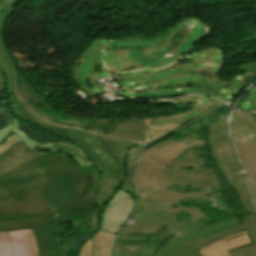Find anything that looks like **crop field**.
Returning a JSON list of instances; mask_svg holds the SVG:
<instances>
[{"instance_id":"8a807250","label":"crop field","mask_w":256,"mask_h":256,"mask_svg":"<svg viewBox=\"0 0 256 256\" xmlns=\"http://www.w3.org/2000/svg\"><path fill=\"white\" fill-rule=\"evenodd\" d=\"M18 1L19 0L0 1V68L7 81V105L14 116L81 146L92 163L101 171L99 190L95 204L103 208L114 191L120 187L124 179L127 150L134 145L140 144L103 137L93 133L143 143L146 124L141 121L130 123V119L102 118L96 119L97 126L83 129L88 126L89 123L83 125L76 121H70L69 125H73V127L93 132L89 133L51 124L37 117L28 106L34 111L33 105L36 103H44L47 108H50L51 105L45 101L27 81L21 86L17 85V74L20 73H18L15 60L3 39L6 19L10 17ZM15 98H20L28 106L18 99L14 100ZM9 100L14 101L9 102Z\"/></svg>"},{"instance_id":"ac0d7876","label":"crop field","mask_w":256,"mask_h":256,"mask_svg":"<svg viewBox=\"0 0 256 256\" xmlns=\"http://www.w3.org/2000/svg\"><path fill=\"white\" fill-rule=\"evenodd\" d=\"M129 221L134 223H127L116 238L112 256H202L191 242L240 223L235 216L207 227L199 219L189 222L179 215L140 207Z\"/></svg>"},{"instance_id":"34b2d1b8","label":"crop field","mask_w":256,"mask_h":256,"mask_svg":"<svg viewBox=\"0 0 256 256\" xmlns=\"http://www.w3.org/2000/svg\"><path fill=\"white\" fill-rule=\"evenodd\" d=\"M193 152L186 151L167 165L159 176V189L137 187L136 206L174 214L175 212L179 213V210L185 211L192 217L185 218L189 221L196 218L205 219V215L198 207L187 208L180 206L185 203L186 197H191L188 199L191 200L197 199L199 196L202 197L205 194L221 196L218 193L213 194V192L209 191L211 186L214 189L220 188V186L215 175H212V169L205 171L203 168H196L197 165H201L205 160L195 157L196 155L194 156Z\"/></svg>"},{"instance_id":"412701ff","label":"crop field","mask_w":256,"mask_h":256,"mask_svg":"<svg viewBox=\"0 0 256 256\" xmlns=\"http://www.w3.org/2000/svg\"><path fill=\"white\" fill-rule=\"evenodd\" d=\"M51 179L36 171L0 181V220L55 214Z\"/></svg>"},{"instance_id":"f4fd0767","label":"crop field","mask_w":256,"mask_h":256,"mask_svg":"<svg viewBox=\"0 0 256 256\" xmlns=\"http://www.w3.org/2000/svg\"><path fill=\"white\" fill-rule=\"evenodd\" d=\"M50 176L54 193L49 202L57 215L92 210L100 172L74 177L71 170H68Z\"/></svg>"},{"instance_id":"dd49c442","label":"crop field","mask_w":256,"mask_h":256,"mask_svg":"<svg viewBox=\"0 0 256 256\" xmlns=\"http://www.w3.org/2000/svg\"><path fill=\"white\" fill-rule=\"evenodd\" d=\"M202 141L190 139L167 140L145 150L136 171L137 186L158 188L157 178L166 165L184 151L201 146Z\"/></svg>"},{"instance_id":"e52e79f7","label":"crop field","mask_w":256,"mask_h":256,"mask_svg":"<svg viewBox=\"0 0 256 256\" xmlns=\"http://www.w3.org/2000/svg\"><path fill=\"white\" fill-rule=\"evenodd\" d=\"M90 213L63 215L48 218L0 222V232L31 229L38 247V256H53L55 237L49 223L72 221L74 234L89 233L88 215Z\"/></svg>"},{"instance_id":"d8731c3e","label":"crop field","mask_w":256,"mask_h":256,"mask_svg":"<svg viewBox=\"0 0 256 256\" xmlns=\"http://www.w3.org/2000/svg\"><path fill=\"white\" fill-rule=\"evenodd\" d=\"M231 132L256 204V117L238 108L232 116Z\"/></svg>"},{"instance_id":"5a996713","label":"crop field","mask_w":256,"mask_h":256,"mask_svg":"<svg viewBox=\"0 0 256 256\" xmlns=\"http://www.w3.org/2000/svg\"><path fill=\"white\" fill-rule=\"evenodd\" d=\"M55 146L30 149L23 142L15 144L0 156V174L3 176L14 169L38 159L41 156L64 151L79 167L91 165L82 149L69 142H56Z\"/></svg>"},{"instance_id":"3316defc","label":"crop field","mask_w":256,"mask_h":256,"mask_svg":"<svg viewBox=\"0 0 256 256\" xmlns=\"http://www.w3.org/2000/svg\"><path fill=\"white\" fill-rule=\"evenodd\" d=\"M210 141L219 167L229 179V183L238 189L246 211H254L227 132L210 137Z\"/></svg>"},{"instance_id":"28ad6ade","label":"crop field","mask_w":256,"mask_h":256,"mask_svg":"<svg viewBox=\"0 0 256 256\" xmlns=\"http://www.w3.org/2000/svg\"><path fill=\"white\" fill-rule=\"evenodd\" d=\"M68 169L72 170L74 176L98 172L94 165L78 168L77 165L64 152H61L42 157L32 163L14 170L12 173L5 177L0 175V180L15 177L17 175L25 174L35 170H37L41 176H44Z\"/></svg>"},{"instance_id":"d1516ede","label":"crop field","mask_w":256,"mask_h":256,"mask_svg":"<svg viewBox=\"0 0 256 256\" xmlns=\"http://www.w3.org/2000/svg\"><path fill=\"white\" fill-rule=\"evenodd\" d=\"M133 199L134 196L125 191L116 190L104 207L105 211L100 225L101 230L116 234L132 209Z\"/></svg>"},{"instance_id":"22f410ed","label":"crop field","mask_w":256,"mask_h":256,"mask_svg":"<svg viewBox=\"0 0 256 256\" xmlns=\"http://www.w3.org/2000/svg\"><path fill=\"white\" fill-rule=\"evenodd\" d=\"M240 221L242 223L227 227L225 229H222L221 231H217L203 239L192 243V245L197 250L215 240L221 239L226 235H230L246 229L253 244L238 247L236 249L228 251V253L231 256H256V216H253L249 219H242Z\"/></svg>"},{"instance_id":"cbeb9de0","label":"crop field","mask_w":256,"mask_h":256,"mask_svg":"<svg viewBox=\"0 0 256 256\" xmlns=\"http://www.w3.org/2000/svg\"><path fill=\"white\" fill-rule=\"evenodd\" d=\"M14 121V127L12 129L22 141L30 148L51 146V142L64 141V139L27 122H24L17 118H12Z\"/></svg>"},{"instance_id":"5142ce71","label":"crop field","mask_w":256,"mask_h":256,"mask_svg":"<svg viewBox=\"0 0 256 256\" xmlns=\"http://www.w3.org/2000/svg\"><path fill=\"white\" fill-rule=\"evenodd\" d=\"M251 243L246 231L226 236L200 250L203 256H230L227 251L235 247Z\"/></svg>"},{"instance_id":"d9b57169","label":"crop field","mask_w":256,"mask_h":256,"mask_svg":"<svg viewBox=\"0 0 256 256\" xmlns=\"http://www.w3.org/2000/svg\"><path fill=\"white\" fill-rule=\"evenodd\" d=\"M12 242L14 253L0 256H37V247L30 230L7 232Z\"/></svg>"},{"instance_id":"733c2abd","label":"crop field","mask_w":256,"mask_h":256,"mask_svg":"<svg viewBox=\"0 0 256 256\" xmlns=\"http://www.w3.org/2000/svg\"><path fill=\"white\" fill-rule=\"evenodd\" d=\"M141 146H135L131 148L127 153V173L125 176V179L121 185V189L125 190L126 192L134 195L135 192V186L133 182V176H134V168L140 153Z\"/></svg>"},{"instance_id":"4a817a6b","label":"crop field","mask_w":256,"mask_h":256,"mask_svg":"<svg viewBox=\"0 0 256 256\" xmlns=\"http://www.w3.org/2000/svg\"><path fill=\"white\" fill-rule=\"evenodd\" d=\"M115 234L107 232H97L92 236L94 256H107L110 255V249Z\"/></svg>"},{"instance_id":"bc2a9ffb","label":"crop field","mask_w":256,"mask_h":256,"mask_svg":"<svg viewBox=\"0 0 256 256\" xmlns=\"http://www.w3.org/2000/svg\"><path fill=\"white\" fill-rule=\"evenodd\" d=\"M103 209L98 207L97 205L94 206L90 216H89V224H90V233L89 235H93L96 233L99 229L101 216L103 213Z\"/></svg>"},{"instance_id":"214f88e0","label":"crop field","mask_w":256,"mask_h":256,"mask_svg":"<svg viewBox=\"0 0 256 256\" xmlns=\"http://www.w3.org/2000/svg\"><path fill=\"white\" fill-rule=\"evenodd\" d=\"M210 127L212 130L210 136L227 131L226 123H225V114L220 117L218 122H216L215 124L214 123L210 124Z\"/></svg>"},{"instance_id":"92a150f3","label":"crop field","mask_w":256,"mask_h":256,"mask_svg":"<svg viewBox=\"0 0 256 256\" xmlns=\"http://www.w3.org/2000/svg\"><path fill=\"white\" fill-rule=\"evenodd\" d=\"M13 251L6 232L0 233V254Z\"/></svg>"},{"instance_id":"dafd665d","label":"crop field","mask_w":256,"mask_h":256,"mask_svg":"<svg viewBox=\"0 0 256 256\" xmlns=\"http://www.w3.org/2000/svg\"><path fill=\"white\" fill-rule=\"evenodd\" d=\"M17 142H21L17 135H11L3 145H0V155Z\"/></svg>"},{"instance_id":"00972430","label":"crop field","mask_w":256,"mask_h":256,"mask_svg":"<svg viewBox=\"0 0 256 256\" xmlns=\"http://www.w3.org/2000/svg\"><path fill=\"white\" fill-rule=\"evenodd\" d=\"M78 256H93L91 238L83 244Z\"/></svg>"},{"instance_id":"a9b5d70f","label":"crop field","mask_w":256,"mask_h":256,"mask_svg":"<svg viewBox=\"0 0 256 256\" xmlns=\"http://www.w3.org/2000/svg\"><path fill=\"white\" fill-rule=\"evenodd\" d=\"M5 129L0 130V141L3 139V137L9 132V130L11 129L12 125H7L6 124Z\"/></svg>"},{"instance_id":"4177f3b9","label":"crop field","mask_w":256,"mask_h":256,"mask_svg":"<svg viewBox=\"0 0 256 256\" xmlns=\"http://www.w3.org/2000/svg\"><path fill=\"white\" fill-rule=\"evenodd\" d=\"M0 88H6V82L1 71H0Z\"/></svg>"},{"instance_id":"730fd06b","label":"crop field","mask_w":256,"mask_h":256,"mask_svg":"<svg viewBox=\"0 0 256 256\" xmlns=\"http://www.w3.org/2000/svg\"><path fill=\"white\" fill-rule=\"evenodd\" d=\"M195 124H196V125H192V126H191V128H193V130H194L195 128H200V127H199V123H195Z\"/></svg>"},{"instance_id":"eef30255","label":"crop field","mask_w":256,"mask_h":256,"mask_svg":"<svg viewBox=\"0 0 256 256\" xmlns=\"http://www.w3.org/2000/svg\"><path fill=\"white\" fill-rule=\"evenodd\" d=\"M249 112H252V113H256V109H251V110H247Z\"/></svg>"},{"instance_id":"ae1a2a85","label":"crop field","mask_w":256,"mask_h":256,"mask_svg":"<svg viewBox=\"0 0 256 256\" xmlns=\"http://www.w3.org/2000/svg\"><path fill=\"white\" fill-rule=\"evenodd\" d=\"M205 117H206V116H203V118H205ZM206 120H208V119L206 118ZM204 123L207 124L208 122L205 121Z\"/></svg>"},{"instance_id":"d3111659","label":"crop field","mask_w":256,"mask_h":256,"mask_svg":"<svg viewBox=\"0 0 256 256\" xmlns=\"http://www.w3.org/2000/svg\"><path fill=\"white\" fill-rule=\"evenodd\" d=\"M195 135V134H192V136ZM195 136H198V135H195ZM195 138V137H194Z\"/></svg>"},{"instance_id":"750c4746","label":"crop field","mask_w":256,"mask_h":256,"mask_svg":"<svg viewBox=\"0 0 256 256\" xmlns=\"http://www.w3.org/2000/svg\"><path fill=\"white\" fill-rule=\"evenodd\" d=\"M183 133H188V132H183ZM183 133H182V134H183Z\"/></svg>"}]
</instances>
